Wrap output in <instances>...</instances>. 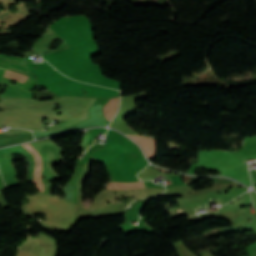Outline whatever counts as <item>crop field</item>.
<instances>
[{
	"label": "crop field",
	"instance_id": "1",
	"mask_svg": "<svg viewBox=\"0 0 256 256\" xmlns=\"http://www.w3.org/2000/svg\"><path fill=\"white\" fill-rule=\"evenodd\" d=\"M90 27V22L85 16L63 17L55 21L50 28L64 38L72 48L43 58L73 79L118 89L120 82L104 78L100 68L89 61V55L99 52Z\"/></svg>",
	"mask_w": 256,
	"mask_h": 256
},
{
	"label": "crop field",
	"instance_id": "2",
	"mask_svg": "<svg viewBox=\"0 0 256 256\" xmlns=\"http://www.w3.org/2000/svg\"><path fill=\"white\" fill-rule=\"evenodd\" d=\"M22 146H23L24 148H26V149L35 157L36 167H35L34 177H33L34 166H35L34 158H33V156H32L27 150H25ZM22 146H21V145H18V147H19L22 151H24L29 157H31L32 167H31V172H30V177H29V179L32 180V177H33V181H32V182L36 184V180H37V176H38V171H39V162H40V171H41V167H42L40 154L37 153V152L32 148V146H31L29 143L26 144V146H27L28 148H30V149L37 155V157H38V159H39V162H38L36 155H35L30 149H28L24 144H23ZM40 171H39V176H38V180H37V184H36V187H37L39 190H40ZM41 191L43 192L42 184H41Z\"/></svg>",
	"mask_w": 256,
	"mask_h": 256
},
{
	"label": "crop field",
	"instance_id": "3",
	"mask_svg": "<svg viewBox=\"0 0 256 256\" xmlns=\"http://www.w3.org/2000/svg\"><path fill=\"white\" fill-rule=\"evenodd\" d=\"M138 142L148 159L156 157L155 139L147 137L129 136Z\"/></svg>",
	"mask_w": 256,
	"mask_h": 256
},
{
	"label": "crop field",
	"instance_id": "4",
	"mask_svg": "<svg viewBox=\"0 0 256 256\" xmlns=\"http://www.w3.org/2000/svg\"><path fill=\"white\" fill-rule=\"evenodd\" d=\"M118 99H119V97L111 98L107 102V104L104 105V109H103L104 116H114V114L118 108Z\"/></svg>",
	"mask_w": 256,
	"mask_h": 256
},
{
	"label": "crop field",
	"instance_id": "5",
	"mask_svg": "<svg viewBox=\"0 0 256 256\" xmlns=\"http://www.w3.org/2000/svg\"><path fill=\"white\" fill-rule=\"evenodd\" d=\"M144 186L142 181L132 182V183H119V182H110L108 185L109 188H118V187H136Z\"/></svg>",
	"mask_w": 256,
	"mask_h": 256
},
{
	"label": "crop field",
	"instance_id": "6",
	"mask_svg": "<svg viewBox=\"0 0 256 256\" xmlns=\"http://www.w3.org/2000/svg\"><path fill=\"white\" fill-rule=\"evenodd\" d=\"M4 76L7 77V78H10V79H13V80L20 81L22 83H24L25 79L27 78V76L11 72L7 69H6V73H5Z\"/></svg>",
	"mask_w": 256,
	"mask_h": 256
},
{
	"label": "crop field",
	"instance_id": "7",
	"mask_svg": "<svg viewBox=\"0 0 256 256\" xmlns=\"http://www.w3.org/2000/svg\"><path fill=\"white\" fill-rule=\"evenodd\" d=\"M6 19V18H5Z\"/></svg>",
	"mask_w": 256,
	"mask_h": 256
}]
</instances>
